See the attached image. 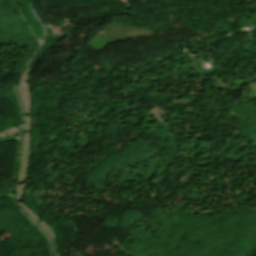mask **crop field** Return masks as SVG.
I'll return each mask as SVG.
<instances>
[{"label":"crop field","instance_id":"8a807250","mask_svg":"<svg viewBox=\"0 0 256 256\" xmlns=\"http://www.w3.org/2000/svg\"><path fill=\"white\" fill-rule=\"evenodd\" d=\"M15 3H17V0H13Z\"/></svg>","mask_w":256,"mask_h":256}]
</instances>
